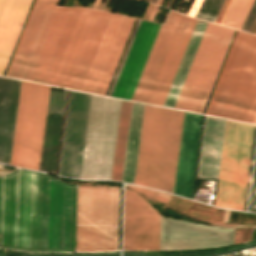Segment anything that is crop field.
<instances>
[{
	"mask_svg": "<svg viewBox=\"0 0 256 256\" xmlns=\"http://www.w3.org/2000/svg\"><path fill=\"white\" fill-rule=\"evenodd\" d=\"M36 0L5 76L81 91L112 14Z\"/></svg>",
	"mask_w": 256,
	"mask_h": 256,
	"instance_id": "1",
	"label": "crop field"
},
{
	"mask_svg": "<svg viewBox=\"0 0 256 256\" xmlns=\"http://www.w3.org/2000/svg\"><path fill=\"white\" fill-rule=\"evenodd\" d=\"M76 186L17 169L0 177V248L74 251Z\"/></svg>",
	"mask_w": 256,
	"mask_h": 256,
	"instance_id": "2",
	"label": "crop field"
},
{
	"mask_svg": "<svg viewBox=\"0 0 256 256\" xmlns=\"http://www.w3.org/2000/svg\"><path fill=\"white\" fill-rule=\"evenodd\" d=\"M183 115L145 105L134 184L173 193Z\"/></svg>",
	"mask_w": 256,
	"mask_h": 256,
	"instance_id": "3",
	"label": "crop field"
},
{
	"mask_svg": "<svg viewBox=\"0 0 256 256\" xmlns=\"http://www.w3.org/2000/svg\"><path fill=\"white\" fill-rule=\"evenodd\" d=\"M256 113V36L237 32L204 114L251 123Z\"/></svg>",
	"mask_w": 256,
	"mask_h": 256,
	"instance_id": "4",
	"label": "crop field"
},
{
	"mask_svg": "<svg viewBox=\"0 0 256 256\" xmlns=\"http://www.w3.org/2000/svg\"><path fill=\"white\" fill-rule=\"evenodd\" d=\"M120 189L77 186L75 251L118 249Z\"/></svg>",
	"mask_w": 256,
	"mask_h": 256,
	"instance_id": "5",
	"label": "crop field"
},
{
	"mask_svg": "<svg viewBox=\"0 0 256 256\" xmlns=\"http://www.w3.org/2000/svg\"><path fill=\"white\" fill-rule=\"evenodd\" d=\"M234 32L207 24L174 108L203 112Z\"/></svg>",
	"mask_w": 256,
	"mask_h": 256,
	"instance_id": "6",
	"label": "crop field"
},
{
	"mask_svg": "<svg viewBox=\"0 0 256 256\" xmlns=\"http://www.w3.org/2000/svg\"><path fill=\"white\" fill-rule=\"evenodd\" d=\"M120 104L91 95L80 178L110 179Z\"/></svg>",
	"mask_w": 256,
	"mask_h": 256,
	"instance_id": "7",
	"label": "crop field"
},
{
	"mask_svg": "<svg viewBox=\"0 0 256 256\" xmlns=\"http://www.w3.org/2000/svg\"><path fill=\"white\" fill-rule=\"evenodd\" d=\"M253 129L226 121L215 206L242 210Z\"/></svg>",
	"mask_w": 256,
	"mask_h": 256,
	"instance_id": "8",
	"label": "crop field"
},
{
	"mask_svg": "<svg viewBox=\"0 0 256 256\" xmlns=\"http://www.w3.org/2000/svg\"><path fill=\"white\" fill-rule=\"evenodd\" d=\"M48 90L21 81L10 165L38 170Z\"/></svg>",
	"mask_w": 256,
	"mask_h": 256,
	"instance_id": "9",
	"label": "crop field"
},
{
	"mask_svg": "<svg viewBox=\"0 0 256 256\" xmlns=\"http://www.w3.org/2000/svg\"><path fill=\"white\" fill-rule=\"evenodd\" d=\"M135 20L112 15L82 91L106 95Z\"/></svg>",
	"mask_w": 256,
	"mask_h": 256,
	"instance_id": "10",
	"label": "crop field"
},
{
	"mask_svg": "<svg viewBox=\"0 0 256 256\" xmlns=\"http://www.w3.org/2000/svg\"><path fill=\"white\" fill-rule=\"evenodd\" d=\"M160 215L141 197L124 190L123 249L159 250Z\"/></svg>",
	"mask_w": 256,
	"mask_h": 256,
	"instance_id": "11",
	"label": "crop field"
},
{
	"mask_svg": "<svg viewBox=\"0 0 256 256\" xmlns=\"http://www.w3.org/2000/svg\"><path fill=\"white\" fill-rule=\"evenodd\" d=\"M90 95L70 91L58 174L79 178Z\"/></svg>",
	"mask_w": 256,
	"mask_h": 256,
	"instance_id": "12",
	"label": "crop field"
},
{
	"mask_svg": "<svg viewBox=\"0 0 256 256\" xmlns=\"http://www.w3.org/2000/svg\"><path fill=\"white\" fill-rule=\"evenodd\" d=\"M231 243L233 229H215L161 216L160 250L205 248Z\"/></svg>",
	"mask_w": 256,
	"mask_h": 256,
	"instance_id": "13",
	"label": "crop field"
},
{
	"mask_svg": "<svg viewBox=\"0 0 256 256\" xmlns=\"http://www.w3.org/2000/svg\"><path fill=\"white\" fill-rule=\"evenodd\" d=\"M141 21H142V20L139 19L138 22H137V25H136V27H135V30H134V32H133V35H132V37H131V40H130V42H129V45H128V47H127V50H126V52H125L124 58H123V60H122V63H121V65H120V68H119V70H118V73H117V75H116V78H115V80H114V83H113L112 88H111V90H110V93H109V95H108L109 97L111 96L112 91H113V89H114V87H115V84H116V82H117V79H118L119 74H120V71H121V68H122V66H123L124 63H125V60H126V58H127V55H128V53H129V50H130V48H131V45H132V43H133V41H134V38H135V36H136V33H137V31H138V28H139V26H140ZM145 22H146V21L143 20L142 23H141V26H140V28H139V31H138L137 36H136V38H135V41H134V43H133V45H132V48H131V50H130V53H129V55H128V58H127V60H126V63H125V65H124V67L122 68L120 77H119V79H118V82H117V84H116V87H115V89H114L113 94H112L111 97H114L115 94H116V91H117V89H118V86H119V84H120V81H121V79H122V76H123L124 72H125L126 69H127V66H128V64H129V61H130V59H131V56H132L133 51H134V49H135V46H136V44H137V42H138V39H139V37H140V34H141V32H142V29H143V27H144ZM159 26H160L159 24H155V23L148 22V21L146 22L145 27H144V29H143V32H142V34H141V37H140V39H139V42H138V44H137V47H136V49H135V51H134V54H133V56H132V59H131V61H130L129 66H128V69H127L126 73H125L124 76H123V79H122V81H121V84H120V86H119V89H118L117 94H116L115 97H117V98H123V99H128V100L131 99L132 94H133L134 89H135V87H136L137 81H138V79H139V76H140L141 71H142V69H143V66H144V64H145V61H146V59H147V56H148V54H149V51H150V49H151L152 43H153V41H154V38H155V36H156V33H157V31H158Z\"/></svg>",
	"mask_w": 256,
	"mask_h": 256,
	"instance_id": "14",
	"label": "crop field"
},
{
	"mask_svg": "<svg viewBox=\"0 0 256 256\" xmlns=\"http://www.w3.org/2000/svg\"><path fill=\"white\" fill-rule=\"evenodd\" d=\"M196 21V19L181 16L147 103L163 105Z\"/></svg>",
	"mask_w": 256,
	"mask_h": 256,
	"instance_id": "15",
	"label": "crop field"
},
{
	"mask_svg": "<svg viewBox=\"0 0 256 256\" xmlns=\"http://www.w3.org/2000/svg\"><path fill=\"white\" fill-rule=\"evenodd\" d=\"M67 90H49L45 129L39 170L53 173L56 171L61 128Z\"/></svg>",
	"mask_w": 256,
	"mask_h": 256,
	"instance_id": "16",
	"label": "crop field"
},
{
	"mask_svg": "<svg viewBox=\"0 0 256 256\" xmlns=\"http://www.w3.org/2000/svg\"><path fill=\"white\" fill-rule=\"evenodd\" d=\"M202 116L185 112L174 193L190 198Z\"/></svg>",
	"mask_w": 256,
	"mask_h": 256,
	"instance_id": "17",
	"label": "crop field"
},
{
	"mask_svg": "<svg viewBox=\"0 0 256 256\" xmlns=\"http://www.w3.org/2000/svg\"><path fill=\"white\" fill-rule=\"evenodd\" d=\"M180 16L171 11L165 26H160L131 100L147 102Z\"/></svg>",
	"mask_w": 256,
	"mask_h": 256,
	"instance_id": "18",
	"label": "crop field"
},
{
	"mask_svg": "<svg viewBox=\"0 0 256 256\" xmlns=\"http://www.w3.org/2000/svg\"><path fill=\"white\" fill-rule=\"evenodd\" d=\"M20 81L0 77V163L9 165Z\"/></svg>",
	"mask_w": 256,
	"mask_h": 256,
	"instance_id": "19",
	"label": "crop field"
},
{
	"mask_svg": "<svg viewBox=\"0 0 256 256\" xmlns=\"http://www.w3.org/2000/svg\"><path fill=\"white\" fill-rule=\"evenodd\" d=\"M224 124L205 116L197 178L217 180Z\"/></svg>",
	"mask_w": 256,
	"mask_h": 256,
	"instance_id": "20",
	"label": "crop field"
},
{
	"mask_svg": "<svg viewBox=\"0 0 256 256\" xmlns=\"http://www.w3.org/2000/svg\"><path fill=\"white\" fill-rule=\"evenodd\" d=\"M31 0H0V75Z\"/></svg>",
	"mask_w": 256,
	"mask_h": 256,
	"instance_id": "21",
	"label": "crop field"
},
{
	"mask_svg": "<svg viewBox=\"0 0 256 256\" xmlns=\"http://www.w3.org/2000/svg\"><path fill=\"white\" fill-rule=\"evenodd\" d=\"M144 105L132 103L121 182L134 181Z\"/></svg>",
	"mask_w": 256,
	"mask_h": 256,
	"instance_id": "22",
	"label": "crop field"
},
{
	"mask_svg": "<svg viewBox=\"0 0 256 256\" xmlns=\"http://www.w3.org/2000/svg\"><path fill=\"white\" fill-rule=\"evenodd\" d=\"M206 24H207L206 22H202L199 20L197 21L196 26L194 28V31L192 33V36L190 38V41L188 43V46L186 48V51L184 53V56L179 65V68L177 70V73L175 75V78L173 80V83L171 85V88L169 90V93L167 95V98H166L163 106H168V107H172V108L174 107Z\"/></svg>",
	"mask_w": 256,
	"mask_h": 256,
	"instance_id": "23",
	"label": "crop field"
},
{
	"mask_svg": "<svg viewBox=\"0 0 256 256\" xmlns=\"http://www.w3.org/2000/svg\"><path fill=\"white\" fill-rule=\"evenodd\" d=\"M131 103L122 101L111 180L120 182Z\"/></svg>",
	"mask_w": 256,
	"mask_h": 256,
	"instance_id": "24",
	"label": "crop field"
},
{
	"mask_svg": "<svg viewBox=\"0 0 256 256\" xmlns=\"http://www.w3.org/2000/svg\"><path fill=\"white\" fill-rule=\"evenodd\" d=\"M224 0H202L194 17L214 21Z\"/></svg>",
	"mask_w": 256,
	"mask_h": 256,
	"instance_id": "25",
	"label": "crop field"
},
{
	"mask_svg": "<svg viewBox=\"0 0 256 256\" xmlns=\"http://www.w3.org/2000/svg\"><path fill=\"white\" fill-rule=\"evenodd\" d=\"M130 188L138 191V192H142V193H145L157 200H159L160 202L162 203H166L172 196L168 195V194H165V193H161V192H157V191H152V190H147V189H141V188H136V187H131L129 186Z\"/></svg>",
	"mask_w": 256,
	"mask_h": 256,
	"instance_id": "26",
	"label": "crop field"
},
{
	"mask_svg": "<svg viewBox=\"0 0 256 256\" xmlns=\"http://www.w3.org/2000/svg\"><path fill=\"white\" fill-rule=\"evenodd\" d=\"M255 17H256V0H254V3H253L240 30L248 32Z\"/></svg>",
	"mask_w": 256,
	"mask_h": 256,
	"instance_id": "27",
	"label": "crop field"
},
{
	"mask_svg": "<svg viewBox=\"0 0 256 256\" xmlns=\"http://www.w3.org/2000/svg\"><path fill=\"white\" fill-rule=\"evenodd\" d=\"M250 211L256 212V173H255V180H254V187H253V194H252V201H251Z\"/></svg>",
	"mask_w": 256,
	"mask_h": 256,
	"instance_id": "28",
	"label": "crop field"
},
{
	"mask_svg": "<svg viewBox=\"0 0 256 256\" xmlns=\"http://www.w3.org/2000/svg\"><path fill=\"white\" fill-rule=\"evenodd\" d=\"M200 2H201V0H195L193 2L192 6H191V8H190V10H189V12L187 14L188 16H192V17L194 16V14H195V12H196Z\"/></svg>",
	"mask_w": 256,
	"mask_h": 256,
	"instance_id": "29",
	"label": "crop field"
},
{
	"mask_svg": "<svg viewBox=\"0 0 256 256\" xmlns=\"http://www.w3.org/2000/svg\"><path fill=\"white\" fill-rule=\"evenodd\" d=\"M157 6H153V9H152V11H151V14H150V17H149V19L148 20H150V21H152L153 20V18H154V15H155V13H156V10H157Z\"/></svg>",
	"mask_w": 256,
	"mask_h": 256,
	"instance_id": "30",
	"label": "crop field"
},
{
	"mask_svg": "<svg viewBox=\"0 0 256 256\" xmlns=\"http://www.w3.org/2000/svg\"><path fill=\"white\" fill-rule=\"evenodd\" d=\"M229 227H245V228H256L254 225H236V226H229ZM228 228V227H223Z\"/></svg>",
	"mask_w": 256,
	"mask_h": 256,
	"instance_id": "31",
	"label": "crop field"
},
{
	"mask_svg": "<svg viewBox=\"0 0 256 256\" xmlns=\"http://www.w3.org/2000/svg\"><path fill=\"white\" fill-rule=\"evenodd\" d=\"M161 2H162V0H156V2H155V3L160 5V4H161Z\"/></svg>",
	"mask_w": 256,
	"mask_h": 256,
	"instance_id": "32",
	"label": "crop field"
},
{
	"mask_svg": "<svg viewBox=\"0 0 256 256\" xmlns=\"http://www.w3.org/2000/svg\"><path fill=\"white\" fill-rule=\"evenodd\" d=\"M151 2H155V0H150Z\"/></svg>",
	"mask_w": 256,
	"mask_h": 256,
	"instance_id": "33",
	"label": "crop field"
},
{
	"mask_svg": "<svg viewBox=\"0 0 256 256\" xmlns=\"http://www.w3.org/2000/svg\"><path fill=\"white\" fill-rule=\"evenodd\" d=\"M256 34V33H255Z\"/></svg>",
	"mask_w": 256,
	"mask_h": 256,
	"instance_id": "34",
	"label": "crop field"
}]
</instances>
